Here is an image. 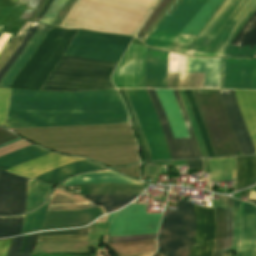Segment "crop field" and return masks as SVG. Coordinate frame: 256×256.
Wrapping results in <instances>:
<instances>
[{
	"instance_id": "obj_1",
	"label": "crop field",
	"mask_w": 256,
	"mask_h": 256,
	"mask_svg": "<svg viewBox=\"0 0 256 256\" xmlns=\"http://www.w3.org/2000/svg\"><path fill=\"white\" fill-rule=\"evenodd\" d=\"M5 126L130 127L116 90L48 93L11 89Z\"/></svg>"
},
{
	"instance_id": "obj_2",
	"label": "crop field",
	"mask_w": 256,
	"mask_h": 256,
	"mask_svg": "<svg viewBox=\"0 0 256 256\" xmlns=\"http://www.w3.org/2000/svg\"><path fill=\"white\" fill-rule=\"evenodd\" d=\"M150 13L158 0H97ZM93 0H77L60 27L134 36L147 13ZM140 29V28H139ZM138 32V31H137Z\"/></svg>"
},
{
	"instance_id": "obj_3",
	"label": "crop field",
	"mask_w": 256,
	"mask_h": 256,
	"mask_svg": "<svg viewBox=\"0 0 256 256\" xmlns=\"http://www.w3.org/2000/svg\"><path fill=\"white\" fill-rule=\"evenodd\" d=\"M255 9L256 0H225L188 50L221 55Z\"/></svg>"
},
{
	"instance_id": "obj_4",
	"label": "crop field",
	"mask_w": 256,
	"mask_h": 256,
	"mask_svg": "<svg viewBox=\"0 0 256 256\" xmlns=\"http://www.w3.org/2000/svg\"><path fill=\"white\" fill-rule=\"evenodd\" d=\"M114 63L63 56L41 90L86 91L113 88L109 76Z\"/></svg>"
},
{
	"instance_id": "obj_5",
	"label": "crop field",
	"mask_w": 256,
	"mask_h": 256,
	"mask_svg": "<svg viewBox=\"0 0 256 256\" xmlns=\"http://www.w3.org/2000/svg\"><path fill=\"white\" fill-rule=\"evenodd\" d=\"M76 32L77 30L50 27L40 46L14 78L10 87L39 90Z\"/></svg>"
},
{
	"instance_id": "obj_6",
	"label": "crop field",
	"mask_w": 256,
	"mask_h": 256,
	"mask_svg": "<svg viewBox=\"0 0 256 256\" xmlns=\"http://www.w3.org/2000/svg\"><path fill=\"white\" fill-rule=\"evenodd\" d=\"M192 91L215 155L227 156L241 154L228 117L222 107L219 91Z\"/></svg>"
},
{
	"instance_id": "obj_7",
	"label": "crop field",
	"mask_w": 256,
	"mask_h": 256,
	"mask_svg": "<svg viewBox=\"0 0 256 256\" xmlns=\"http://www.w3.org/2000/svg\"><path fill=\"white\" fill-rule=\"evenodd\" d=\"M194 232L193 204L177 201V210L164 211L157 237V252L164 256H189Z\"/></svg>"
},
{
	"instance_id": "obj_8",
	"label": "crop field",
	"mask_w": 256,
	"mask_h": 256,
	"mask_svg": "<svg viewBox=\"0 0 256 256\" xmlns=\"http://www.w3.org/2000/svg\"><path fill=\"white\" fill-rule=\"evenodd\" d=\"M221 59L186 56V72H205V88H219ZM168 72H180L185 78V56L169 52ZM167 88H204V73H168Z\"/></svg>"
},
{
	"instance_id": "obj_9",
	"label": "crop field",
	"mask_w": 256,
	"mask_h": 256,
	"mask_svg": "<svg viewBox=\"0 0 256 256\" xmlns=\"http://www.w3.org/2000/svg\"><path fill=\"white\" fill-rule=\"evenodd\" d=\"M132 38L79 30L65 55L118 62Z\"/></svg>"
},
{
	"instance_id": "obj_10",
	"label": "crop field",
	"mask_w": 256,
	"mask_h": 256,
	"mask_svg": "<svg viewBox=\"0 0 256 256\" xmlns=\"http://www.w3.org/2000/svg\"><path fill=\"white\" fill-rule=\"evenodd\" d=\"M146 90L157 112L161 127L163 129L164 135L168 143V147H169V151L172 159L184 158L180 140L174 139L172 136V133L175 138H184L189 136H188L182 115L180 113L179 107L173 96L172 90H156L161 100V103L163 105V108L165 110V113L167 115L172 133H171L166 115L162 108V105L155 91L149 90V89H146Z\"/></svg>"
},
{
	"instance_id": "obj_11",
	"label": "crop field",
	"mask_w": 256,
	"mask_h": 256,
	"mask_svg": "<svg viewBox=\"0 0 256 256\" xmlns=\"http://www.w3.org/2000/svg\"><path fill=\"white\" fill-rule=\"evenodd\" d=\"M125 91L148 142L151 160L170 159L166 140L146 90Z\"/></svg>"
},
{
	"instance_id": "obj_12",
	"label": "crop field",
	"mask_w": 256,
	"mask_h": 256,
	"mask_svg": "<svg viewBox=\"0 0 256 256\" xmlns=\"http://www.w3.org/2000/svg\"><path fill=\"white\" fill-rule=\"evenodd\" d=\"M206 0H182L170 16L165 15L144 42L147 46L167 50L175 36L202 7Z\"/></svg>"
},
{
	"instance_id": "obj_13",
	"label": "crop field",
	"mask_w": 256,
	"mask_h": 256,
	"mask_svg": "<svg viewBox=\"0 0 256 256\" xmlns=\"http://www.w3.org/2000/svg\"><path fill=\"white\" fill-rule=\"evenodd\" d=\"M161 214H146L145 205L132 204L120 211L109 226L110 236L156 233Z\"/></svg>"
},
{
	"instance_id": "obj_14",
	"label": "crop field",
	"mask_w": 256,
	"mask_h": 256,
	"mask_svg": "<svg viewBox=\"0 0 256 256\" xmlns=\"http://www.w3.org/2000/svg\"><path fill=\"white\" fill-rule=\"evenodd\" d=\"M27 178L0 170V215L25 212Z\"/></svg>"
},
{
	"instance_id": "obj_15",
	"label": "crop field",
	"mask_w": 256,
	"mask_h": 256,
	"mask_svg": "<svg viewBox=\"0 0 256 256\" xmlns=\"http://www.w3.org/2000/svg\"><path fill=\"white\" fill-rule=\"evenodd\" d=\"M242 206H243V202L241 204L240 211L234 210V213H233L234 232H233V239H232L230 250H236L235 256H237V250H238ZM254 210H255V206L244 202L238 256H249L251 234H252L253 220H254ZM250 256H256V211H255V220H254V228H253V234H252Z\"/></svg>"
},
{
	"instance_id": "obj_16",
	"label": "crop field",
	"mask_w": 256,
	"mask_h": 256,
	"mask_svg": "<svg viewBox=\"0 0 256 256\" xmlns=\"http://www.w3.org/2000/svg\"><path fill=\"white\" fill-rule=\"evenodd\" d=\"M222 88L256 89V60L224 59Z\"/></svg>"
},
{
	"instance_id": "obj_17",
	"label": "crop field",
	"mask_w": 256,
	"mask_h": 256,
	"mask_svg": "<svg viewBox=\"0 0 256 256\" xmlns=\"http://www.w3.org/2000/svg\"><path fill=\"white\" fill-rule=\"evenodd\" d=\"M196 232L190 256H211L214 247V208H203L194 204Z\"/></svg>"
},
{
	"instance_id": "obj_18",
	"label": "crop field",
	"mask_w": 256,
	"mask_h": 256,
	"mask_svg": "<svg viewBox=\"0 0 256 256\" xmlns=\"http://www.w3.org/2000/svg\"><path fill=\"white\" fill-rule=\"evenodd\" d=\"M223 107L229 117L242 154L255 153L253 143L238 110L234 91H220Z\"/></svg>"
},
{
	"instance_id": "obj_19",
	"label": "crop field",
	"mask_w": 256,
	"mask_h": 256,
	"mask_svg": "<svg viewBox=\"0 0 256 256\" xmlns=\"http://www.w3.org/2000/svg\"><path fill=\"white\" fill-rule=\"evenodd\" d=\"M221 2L222 0H207L198 13L181 31L168 50L183 53Z\"/></svg>"
},
{
	"instance_id": "obj_20",
	"label": "crop field",
	"mask_w": 256,
	"mask_h": 256,
	"mask_svg": "<svg viewBox=\"0 0 256 256\" xmlns=\"http://www.w3.org/2000/svg\"><path fill=\"white\" fill-rule=\"evenodd\" d=\"M100 215H102V212L98 208L81 211L47 212L42 230L80 227L90 223Z\"/></svg>"
},
{
	"instance_id": "obj_21",
	"label": "crop field",
	"mask_w": 256,
	"mask_h": 256,
	"mask_svg": "<svg viewBox=\"0 0 256 256\" xmlns=\"http://www.w3.org/2000/svg\"><path fill=\"white\" fill-rule=\"evenodd\" d=\"M222 56L256 57V11Z\"/></svg>"
},
{
	"instance_id": "obj_22",
	"label": "crop field",
	"mask_w": 256,
	"mask_h": 256,
	"mask_svg": "<svg viewBox=\"0 0 256 256\" xmlns=\"http://www.w3.org/2000/svg\"><path fill=\"white\" fill-rule=\"evenodd\" d=\"M168 53L147 47L145 88H166Z\"/></svg>"
},
{
	"instance_id": "obj_23",
	"label": "crop field",
	"mask_w": 256,
	"mask_h": 256,
	"mask_svg": "<svg viewBox=\"0 0 256 256\" xmlns=\"http://www.w3.org/2000/svg\"><path fill=\"white\" fill-rule=\"evenodd\" d=\"M82 159L84 158L65 157V156L51 153L49 155L34 159L32 161L21 164L19 166L8 169L6 171L15 173L19 176L32 178L38 174L44 173L46 171L57 168L64 164L82 160Z\"/></svg>"
},
{
	"instance_id": "obj_24",
	"label": "crop field",
	"mask_w": 256,
	"mask_h": 256,
	"mask_svg": "<svg viewBox=\"0 0 256 256\" xmlns=\"http://www.w3.org/2000/svg\"><path fill=\"white\" fill-rule=\"evenodd\" d=\"M232 206L233 200L228 199V206L226 209L215 208L217 236L214 256H222L223 251L229 250L230 248L233 231Z\"/></svg>"
},
{
	"instance_id": "obj_25",
	"label": "crop field",
	"mask_w": 256,
	"mask_h": 256,
	"mask_svg": "<svg viewBox=\"0 0 256 256\" xmlns=\"http://www.w3.org/2000/svg\"><path fill=\"white\" fill-rule=\"evenodd\" d=\"M48 26L39 25L38 29L31 37L26 47L19 55V57L14 61V63L9 67V69L5 72L3 78L0 81V87H8L12 79L16 76L22 66L27 62V60L31 57L34 51L39 46L41 40L46 34Z\"/></svg>"
},
{
	"instance_id": "obj_26",
	"label": "crop field",
	"mask_w": 256,
	"mask_h": 256,
	"mask_svg": "<svg viewBox=\"0 0 256 256\" xmlns=\"http://www.w3.org/2000/svg\"><path fill=\"white\" fill-rule=\"evenodd\" d=\"M98 169H102V167L95 162L85 160L64 165L45 174L38 175L33 179L41 180L52 185L68 176Z\"/></svg>"
},
{
	"instance_id": "obj_27",
	"label": "crop field",
	"mask_w": 256,
	"mask_h": 256,
	"mask_svg": "<svg viewBox=\"0 0 256 256\" xmlns=\"http://www.w3.org/2000/svg\"><path fill=\"white\" fill-rule=\"evenodd\" d=\"M235 95L256 150V91H235Z\"/></svg>"
},
{
	"instance_id": "obj_28",
	"label": "crop field",
	"mask_w": 256,
	"mask_h": 256,
	"mask_svg": "<svg viewBox=\"0 0 256 256\" xmlns=\"http://www.w3.org/2000/svg\"><path fill=\"white\" fill-rule=\"evenodd\" d=\"M144 190V185L133 184H91L79 185V191H73L80 195L84 194H131L139 195Z\"/></svg>"
},
{
	"instance_id": "obj_29",
	"label": "crop field",
	"mask_w": 256,
	"mask_h": 256,
	"mask_svg": "<svg viewBox=\"0 0 256 256\" xmlns=\"http://www.w3.org/2000/svg\"><path fill=\"white\" fill-rule=\"evenodd\" d=\"M102 182L141 184L134 180H130L123 176L115 174L109 170L78 175L62 184H90Z\"/></svg>"
},
{
	"instance_id": "obj_30",
	"label": "crop field",
	"mask_w": 256,
	"mask_h": 256,
	"mask_svg": "<svg viewBox=\"0 0 256 256\" xmlns=\"http://www.w3.org/2000/svg\"><path fill=\"white\" fill-rule=\"evenodd\" d=\"M107 244L118 253V256H149L155 250V240Z\"/></svg>"
},
{
	"instance_id": "obj_31",
	"label": "crop field",
	"mask_w": 256,
	"mask_h": 256,
	"mask_svg": "<svg viewBox=\"0 0 256 256\" xmlns=\"http://www.w3.org/2000/svg\"><path fill=\"white\" fill-rule=\"evenodd\" d=\"M50 152L30 145L24 149L0 157V169L6 170L28 160L40 157Z\"/></svg>"
},
{
	"instance_id": "obj_32",
	"label": "crop field",
	"mask_w": 256,
	"mask_h": 256,
	"mask_svg": "<svg viewBox=\"0 0 256 256\" xmlns=\"http://www.w3.org/2000/svg\"><path fill=\"white\" fill-rule=\"evenodd\" d=\"M237 177L235 191L248 187L256 180V156L236 158Z\"/></svg>"
},
{
	"instance_id": "obj_33",
	"label": "crop field",
	"mask_w": 256,
	"mask_h": 256,
	"mask_svg": "<svg viewBox=\"0 0 256 256\" xmlns=\"http://www.w3.org/2000/svg\"><path fill=\"white\" fill-rule=\"evenodd\" d=\"M84 198L97 206L102 205L106 212L117 210L137 196L128 195H84Z\"/></svg>"
},
{
	"instance_id": "obj_34",
	"label": "crop field",
	"mask_w": 256,
	"mask_h": 256,
	"mask_svg": "<svg viewBox=\"0 0 256 256\" xmlns=\"http://www.w3.org/2000/svg\"><path fill=\"white\" fill-rule=\"evenodd\" d=\"M50 185L29 178L26 212L39 206L46 198Z\"/></svg>"
},
{
	"instance_id": "obj_35",
	"label": "crop field",
	"mask_w": 256,
	"mask_h": 256,
	"mask_svg": "<svg viewBox=\"0 0 256 256\" xmlns=\"http://www.w3.org/2000/svg\"><path fill=\"white\" fill-rule=\"evenodd\" d=\"M209 162L211 167L210 180H234L232 179L233 170H235L234 158L209 159Z\"/></svg>"
},
{
	"instance_id": "obj_36",
	"label": "crop field",
	"mask_w": 256,
	"mask_h": 256,
	"mask_svg": "<svg viewBox=\"0 0 256 256\" xmlns=\"http://www.w3.org/2000/svg\"><path fill=\"white\" fill-rule=\"evenodd\" d=\"M90 203L76 204L71 198L62 193L53 192L47 211H66L93 208Z\"/></svg>"
},
{
	"instance_id": "obj_37",
	"label": "crop field",
	"mask_w": 256,
	"mask_h": 256,
	"mask_svg": "<svg viewBox=\"0 0 256 256\" xmlns=\"http://www.w3.org/2000/svg\"><path fill=\"white\" fill-rule=\"evenodd\" d=\"M173 92H174V96L176 98V101H177V103L180 107L181 113L183 115L187 130H188V133H189V136H190V138L180 139L181 143H182L183 151H184V156H185V158L201 157L199 149H198L197 142L195 140V137H194V134L192 132L191 126L189 124L188 118H187L186 113L184 111V108L182 106L178 91L173 90Z\"/></svg>"
},
{
	"instance_id": "obj_38",
	"label": "crop field",
	"mask_w": 256,
	"mask_h": 256,
	"mask_svg": "<svg viewBox=\"0 0 256 256\" xmlns=\"http://www.w3.org/2000/svg\"><path fill=\"white\" fill-rule=\"evenodd\" d=\"M184 92H185L186 100H187V102H188V104L191 108L192 114L194 116V119H195L196 124H197L198 129H199V132L201 134L203 145H204L205 151L207 153V156L208 157L215 156L213 151H212V148L210 146L209 139H208L207 133L205 131L204 125L202 123L198 107H197V105L195 103V100L193 98L192 91L191 90H184Z\"/></svg>"
},
{
	"instance_id": "obj_39",
	"label": "crop field",
	"mask_w": 256,
	"mask_h": 256,
	"mask_svg": "<svg viewBox=\"0 0 256 256\" xmlns=\"http://www.w3.org/2000/svg\"><path fill=\"white\" fill-rule=\"evenodd\" d=\"M48 200L36 211L25 215L22 233H28L32 231L41 230L46 210L48 206Z\"/></svg>"
},
{
	"instance_id": "obj_40",
	"label": "crop field",
	"mask_w": 256,
	"mask_h": 256,
	"mask_svg": "<svg viewBox=\"0 0 256 256\" xmlns=\"http://www.w3.org/2000/svg\"><path fill=\"white\" fill-rule=\"evenodd\" d=\"M31 23L32 22H26L25 25L21 28V30L17 33V35L15 37H11V39L5 45L2 52L0 53V69L13 54L14 50L23 39Z\"/></svg>"
},
{
	"instance_id": "obj_41",
	"label": "crop field",
	"mask_w": 256,
	"mask_h": 256,
	"mask_svg": "<svg viewBox=\"0 0 256 256\" xmlns=\"http://www.w3.org/2000/svg\"><path fill=\"white\" fill-rule=\"evenodd\" d=\"M23 216L13 218H0V238L20 234L22 229Z\"/></svg>"
},
{
	"instance_id": "obj_42",
	"label": "crop field",
	"mask_w": 256,
	"mask_h": 256,
	"mask_svg": "<svg viewBox=\"0 0 256 256\" xmlns=\"http://www.w3.org/2000/svg\"><path fill=\"white\" fill-rule=\"evenodd\" d=\"M118 91H119V93H120V95H121V97H122V99H123V101H124V103H125V105H126V108H127V110H128L129 116H130V118H131V120H132V122H133V124H134V126H135V128H136V131H137V133H138V136H139V138H140V140H141L142 149H143L144 161H149V160H150V153H149V151H148L147 142H146V140H145V138H144V135H143V133H142V130H141V128H140V125H139V123H138V120H137V118H136V115H135V113H134V111H133V109H132V107H131V105H130V103H129L127 97H126V95H125L124 90H118ZM140 140H139V141H140Z\"/></svg>"
},
{
	"instance_id": "obj_43",
	"label": "crop field",
	"mask_w": 256,
	"mask_h": 256,
	"mask_svg": "<svg viewBox=\"0 0 256 256\" xmlns=\"http://www.w3.org/2000/svg\"><path fill=\"white\" fill-rule=\"evenodd\" d=\"M67 0H54L39 22L52 25Z\"/></svg>"
},
{
	"instance_id": "obj_44",
	"label": "crop field",
	"mask_w": 256,
	"mask_h": 256,
	"mask_svg": "<svg viewBox=\"0 0 256 256\" xmlns=\"http://www.w3.org/2000/svg\"><path fill=\"white\" fill-rule=\"evenodd\" d=\"M38 26V23L33 22L27 35L25 36V38L23 39V41L20 43V45L17 47L16 51L14 52V54L11 56V58L8 60V62L4 65V67L0 70V79L2 77V75L4 74V72L8 69V67L13 63V61L17 58V56L20 54V52L23 50V48L25 47L26 43L28 42V40L30 39V37L32 36V34L35 32L36 28Z\"/></svg>"
},
{
	"instance_id": "obj_45",
	"label": "crop field",
	"mask_w": 256,
	"mask_h": 256,
	"mask_svg": "<svg viewBox=\"0 0 256 256\" xmlns=\"http://www.w3.org/2000/svg\"><path fill=\"white\" fill-rule=\"evenodd\" d=\"M178 91H179L181 100L183 102L184 108L186 110L187 116L189 118V121L191 123L192 129L194 131L195 137L197 139V142H198V145H199V149H200V152H201V156L202 157H207L206 153L204 151V148H203V145H202V141H201V137H200V134H199L198 129L196 127L195 121H194L193 116L191 114V111H190V109L188 107V104H187V102L185 100L184 92H183V90H178Z\"/></svg>"
},
{
	"instance_id": "obj_46",
	"label": "crop field",
	"mask_w": 256,
	"mask_h": 256,
	"mask_svg": "<svg viewBox=\"0 0 256 256\" xmlns=\"http://www.w3.org/2000/svg\"><path fill=\"white\" fill-rule=\"evenodd\" d=\"M33 235L34 234L29 236L23 254L19 253V251H20L24 236L14 238L7 256H30V254H28V251H29L30 243L33 239Z\"/></svg>"
},
{
	"instance_id": "obj_47",
	"label": "crop field",
	"mask_w": 256,
	"mask_h": 256,
	"mask_svg": "<svg viewBox=\"0 0 256 256\" xmlns=\"http://www.w3.org/2000/svg\"><path fill=\"white\" fill-rule=\"evenodd\" d=\"M170 0H161L159 5L156 7V9L152 12L150 17L147 19L143 27L140 29L137 38L141 40L149 26L152 24V22L157 18V16L161 13V11L164 9V7L168 4Z\"/></svg>"
},
{
	"instance_id": "obj_48",
	"label": "crop field",
	"mask_w": 256,
	"mask_h": 256,
	"mask_svg": "<svg viewBox=\"0 0 256 256\" xmlns=\"http://www.w3.org/2000/svg\"><path fill=\"white\" fill-rule=\"evenodd\" d=\"M39 1L40 0H20L15 7L19 8V6L22 5L27 8L23 12V14L20 16L19 19L27 20ZM0 34H1V31H0Z\"/></svg>"
},
{
	"instance_id": "obj_49",
	"label": "crop field",
	"mask_w": 256,
	"mask_h": 256,
	"mask_svg": "<svg viewBox=\"0 0 256 256\" xmlns=\"http://www.w3.org/2000/svg\"><path fill=\"white\" fill-rule=\"evenodd\" d=\"M10 89L0 88V126L4 127V114L9 98Z\"/></svg>"
},
{
	"instance_id": "obj_50",
	"label": "crop field",
	"mask_w": 256,
	"mask_h": 256,
	"mask_svg": "<svg viewBox=\"0 0 256 256\" xmlns=\"http://www.w3.org/2000/svg\"><path fill=\"white\" fill-rule=\"evenodd\" d=\"M142 239H153V236L152 234H148V235L110 237L108 242H129V241L142 240Z\"/></svg>"
},
{
	"instance_id": "obj_51",
	"label": "crop field",
	"mask_w": 256,
	"mask_h": 256,
	"mask_svg": "<svg viewBox=\"0 0 256 256\" xmlns=\"http://www.w3.org/2000/svg\"><path fill=\"white\" fill-rule=\"evenodd\" d=\"M58 240H88L87 236H44L38 241H58Z\"/></svg>"
},
{
	"instance_id": "obj_52",
	"label": "crop field",
	"mask_w": 256,
	"mask_h": 256,
	"mask_svg": "<svg viewBox=\"0 0 256 256\" xmlns=\"http://www.w3.org/2000/svg\"><path fill=\"white\" fill-rule=\"evenodd\" d=\"M65 234H78V235H87V229L83 230H61V231H48V232H42L40 236L43 235H65Z\"/></svg>"
},
{
	"instance_id": "obj_53",
	"label": "crop field",
	"mask_w": 256,
	"mask_h": 256,
	"mask_svg": "<svg viewBox=\"0 0 256 256\" xmlns=\"http://www.w3.org/2000/svg\"><path fill=\"white\" fill-rule=\"evenodd\" d=\"M18 137L6 132L5 130L0 128V144L8 142L10 140L16 139Z\"/></svg>"
},
{
	"instance_id": "obj_54",
	"label": "crop field",
	"mask_w": 256,
	"mask_h": 256,
	"mask_svg": "<svg viewBox=\"0 0 256 256\" xmlns=\"http://www.w3.org/2000/svg\"><path fill=\"white\" fill-rule=\"evenodd\" d=\"M12 239V238H11ZM11 239L0 240V256H5Z\"/></svg>"
},
{
	"instance_id": "obj_55",
	"label": "crop field",
	"mask_w": 256,
	"mask_h": 256,
	"mask_svg": "<svg viewBox=\"0 0 256 256\" xmlns=\"http://www.w3.org/2000/svg\"><path fill=\"white\" fill-rule=\"evenodd\" d=\"M188 168L193 169V168H203L202 166V160H193V161H186Z\"/></svg>"
},
{
	"instance_id": "obj_56",
	"label": "crop field",
	"mask_w": 256,
	"mask_h": 256,
	"mask_svg": "<svg viewBox=\"0 0 256 256\" xmlns=\"http://www.w3.org/2000/svg\"><path fill=\"white\" fill-rule=\"evenodd\" d=\"M73 187H74V185H60L57 188L62 189L64 191L68 192L71 195H76L75 193H72V192L68 191V190H73Z\"/></svg>"
},
{
	"instance_id": "obj_57",
	"label": "crop field",
	"mask_w": 256,
	"mask_h": 256,
	"mask_svg": "<svg viewBox=\"0 0 256 256\" xmlns=\"http://www.w3.org/2000/svg\"><path fill=\"white\" fill-rule=\"evenodd\" d=\"M185 54H189L192 56H218V55H211V54H204V53H197V52H190V51H186Z\"/></svg>"
},
{
	"instance_id": "obj_58",
	"label": "crop field",
	"mask_w": 256,
	"mask_h": 256,
	"mask_svg": "<svg viewBox=\"0 0 256 256\" xmlns=\"http://www.w3.org/2000/svg\"><path fill=\"white\" fill-rule=\"evenodd\" d=\"M52 2V0H49L48 3L46 4V6L44 7V9L41 11L40 15L38 17L35 18L34 21L38 22L40 20V18L43 16L44 12L46 11L47 7L49 6V4Z\"/></svg>"
},
{
	"instance_id": "obj_59",
	"label": "crop field",
	"mask_w": 256,
	"mask_h": 256,
	"mask_svg": "<svg viewBox=\"0 0 256 256\" xmlns=\"http://www.w3.org/2000/svg\"><path fill=\"white\" fill-rule=\"evenodd\" d=\"M203 164H204L205 173H210V168H209L208 159L203 160Z\"/></svg>"
},
{
	"instance_id": "obj_60",
	"label": "crop field",
	"mask_w": 256,
	"mask_h": 256,
	"mask_svg": "<svg viewBox=\"0 0 256 256\" xmlns=\"http://www.w3.org/2000/svg\"><path fill=\"white\" fill-rule=\"evenodd\" d=\"M181 0H176V2L172 5V7L168 10L167 14H171V12L175 9V7L179 4Z\"/></svg>"
},
{
	"instance_id": "obj_61",
	"label": "crop field",
	"mask_w": 256,
	"mask_h": 256,
	"mask_svg": "<svg viewBox=\"0 0 256 256\" xmlns=\"http://www.w3.org/2000/svg\"><path fill=\"white\" fill-rule=\"evenodd\" d=\"M240 203H241L240 201L234 199L233 209L239 210Z\"/></svg>"
},
{
	"instance_id": "obj_62",
	"label": "crop field",
	"mask_w": 256,
	"mask_h": 256,
	"mask_svg": "<svg viewBox=\"0 0 256 256\" xmlns=\"http://www.w3.org/2000/svg\"><path fill=\"white\" fill-rule=\"evenodd\" d=\"M38 235H39V233L35 234V237H34V239H33V242H32L31 249H30V252H29V253H31V251H32V249H33V247H34V245H35V243H36V241H37Z\"/></svg>"
},
{
	"instance_id": "obj_63",
	"label": "crop field",
	"mask_w": 256,
	"mask_h": 256,
	"mask_svg": "<svg viewBox=\"0 0 256 256\" xmlns=\"http://www.w3.org/2000/svg\"><path fill=\"white\" fill-rule=\"evenodd\" d=\"M43 2H44V0H42L41 2H40V4L37 6V8L34 10V12L31 14V16L29 17V19L37 12V10L40 8V6L43 4ZM28 19V20H29Z\"/></svg>"
},
{
	"instance_id": "obj_64",
	"label": "crop field",
	"mask_w": 256,
	"mask_h": 256,
	"mask_svg": "<svg viewBox=\"0 0 256 256\" xmlns=\"http://www.w3.org/2000/svg\"><path fill=\"white\" fill-rule=\"evenodd\" d=\"M153 164L173 166L171 162H158Z\"/></svg>"
},
{
	"instance_id": "obj_65",
	"label": "crop field",
	"mask_w": 256,
	"mask_h": 256,
	"mask_svg": "<svg viewBox=\"0 0 256 256\" xmlns=\"http://www.w3.org/2000/svg\"><path fill=\"white\" fill-rule=\"evenodd\" d=\"M47 0H45L44 4L41 6V8L38 10V12L32 17L31 21H33L34 17L39 14V12L42 10V8L45 6Z\"/></svg>"
},
{
	"instance_id": "obj_66",
	"label": "crop field",
	"mask_w": 256,
	"mask_h": 256,
	"mask_svg": "<svg viewBox=\"0 0 256 256\" xmlns=\"http://www.w3.org/2000/svg\"><path fill=\"white\" fill-rule=\"evenodd\" d=\"M116 213H117V212H116ZM116 213L110 214V215L108 216V219H107L106 222L110 223V221L112 220V218L114 217V215H115Z\"/></svg>"
},
{
	"instance_id": "obj_67",
	"label": "crop field",
	"mask_w": 256,
	"mask_h": 256,
	"mask_svg": "<svg viewBox=\"0 0 256 256\" xmlns=\"http://www.w3.org/2000/svg\"><path fill=\"white\" fill-rule=\"evenodd\" d=\"M18 140H21V139H20V138H18V139H16V140H13V141H11V142H8V143H6V144H3V145H1V146H0V148H1V147H3V146H5V145H7V144H9V143H12V142L18 141Z\"/></svg>"
},
{
	"instance_id": "obj_68",
	"label": "crop field",
	"mask_w": 256,
	"mask_h": 256,
	"mask_svg": "<svg viewBox=\"0 0 256 256\" xmlns=\"http://www.w3.org/2000/svg\"><path fill=\"white\" fill-rule=\"evenodd\" d=\"M252 203L256 205V200L249 199Z\"/></svg>"
},
{
	"instance_id": "obj_69",
	"label": "crop field",
	"mask_w": 256,
	"mask_h": 256,
	"mask_svg": "<svg viewBox=\"0 0 256 256\" xmlns=\"http://www.w3.org/2000/svg\"><path fill=\"white\" fill-rule=\"evenodd\" d=\"M252 190L256 191V186L252 187Z\"/></svg>"
},
{
	"instance_id": "obj_70",
	"label": "crop field",
	"mask_w": 256,
	"mask_h": 256,
	"mask_svg": "<svg viewBox=\"0 0 256 256\" xmlns=\"http://www.w3.org/2000/svg\"><path fill=\"white\" fill-rule=\"evenodd\" d=\"M2 33H3V32H2ZM4 33H6V32H4ZM9 34H11V35H10V37H11V36H12V33H9ZM1 35H2V34H1ZM1 35H0V36H1ZM10 37H9V38H10ZM8 40H9V39H8ZM8 40H7V41H8Z\"/></svg>"
},
{
	"instance_id": "obj_71",
	"label": "crop field",
	"mask_w": 256,
	"mask_h": 256,
	"mask_svg": "<svg viewBox=\"0 0 256 256\" xmlns=\"http://www.w3.org/2000/svg\"><path fill=\"white\" fill-rule=\"evenodd\" d=\"M11 2H17L18 0H10Z\"/></svg>"
},
{
	"instance_id": "obj_72",
	"label": "crop field",
	"mask_w": 256,
	"mask_h": 256,
	"mask_svg": "<svg viewBox=\"0 0 256 256\" xmlns=\"http://www.w3.org/2000/svg\"><path fill=\"white\" fill-rule=\"evenodd\" d=\"M154 256H160V254H158V253H155V255Z\"/></svg>"
}]
</instances>
